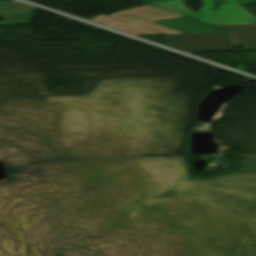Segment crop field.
<instances>
[{
	"mask_svg": "<svg viewBox=\"0 0 256 256\" xmlns=\"http://www.w3.org/2000/svg\"><path fill=\"white\" fill-rule=\"evenodd\" d=\"M173 18H182V16L145 5L108 16L100 15L90 21L135 35L181 33L151 22Z\"/></svg>",
	"mask_w": 256,
	"mask_h": 256,
	"instance_id": "crop-field-1",
	"label": "crop field"
},
{
	"mask_svg": "<svg viewBox=\"0 0 256 256\" xmlns=\"http://www.w3.org/2000/svg\"><path fill=\"white\" fill-rule=\"evenodd\" d=\"M199 13L191 12L183 0L150 4L211 25L256 23V19L235 0H202Z\"/></svg>",
	"mask_w": 256,
	"mask_h": 256,
	"instance_id": "crop-field-2",
	"label": "crop field"
},
{
	"mask_svg": "<svg viewBox=\"0 0 256 256\" xmlns=\"http://www.w3.org/2000/svg\"><path fill=\"white\" fill-rule=\"evenodd\" d=\"M233 47L256 50V31L230 32ZM166 45L183 52L232 49L228 32L165 35Z\"/></svg>",
	"mask_w": 256,
	"mask_h": 256,
	"instance_id": "crop-field-3",
	"label": "crop field"
},
{
	"mask_svg": "<svg viewBox=\"0 0 256 256\" xmlns=\"http://www.w3.org/2000/svg\"><path fill=\"white\" fill-rule=\"evenodd\" d=\"M35 9L18 2L0 3V16L4 18L0 25L29 23Z\"/></svg>",
	"mask_w": 256,
	"mask_h": 256,
	"instance_id": "crop-field-4",
	"label": "crop field"
},
{
	"mask_svg": "<svg viewBox=\"0 0 256 256\" xmlns=\"http://www.w3.org/2000/svg\"><path fill=\"white\" fill-rule=\"evenodd\" d=\"M220 28L227 29L229 31H249L256 30V24H245V25H225V26H217Z\"/></svg>",
	"mask_w": 256,
	"mask_h": 256,
	"instance_id": "crop-field-5",
	"label": "crop field"
},
{
	"mask_svg": "<svg viewBox=\"0 0 256 256\" xmlns=\"http://www.w3.org/2000/svg\"><path fill=\"white\" fill-rule=\"evenodd\" d=\"M236 1H238L240 4L254 3V2L251 1V0H236Z\"/></svg>",
	"mask_w": 256,
	"mask_h": 256,
	"instance_id": "crop-field-6",
	"label": "crop field"
},
{
	"mask_svg": "<svg viewBox=\"0 0 256 256\" xmlns=\"http://www.w3.org/2000/svg\"><path fill=\"white\" fill-rule=\"evenodd\" d=\"M144 3H150V2H156V1H162V0H138Z\"/></svg>",
	"mask_w": 256,
	"mask_h": 256,
	"instance_id": "crop-field-7",
	"label": "crop field"
}]
</instances>
